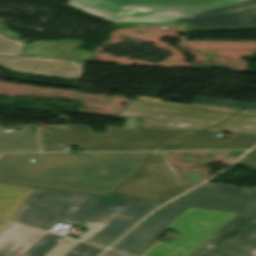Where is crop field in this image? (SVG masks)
I'll list each match as a JSON object with an SVG mask.
<instances>
[{
    "label": "crop field",
    "mask_w": 256,
    "mask_h": 256,
    "mask_svg": "<svg viewBox=\"0 0 256 256\" xmlns=\"http://www.w3.org/2000/svg\"><path fill=\"white\" fill-rule=\"evenodd\" d=\"M37 146V131L0 134V147Z\"/></svg>",
    "instance_id": "21"
},
{
    "label": "crop field",
    "mask_w": 256,
    "mask_h": 256,
    "mask_svg": "<svg viewBox=\"0 0 256 256\" xmlns=\"http://www.w3.org/2000/svg\"><path fill=\"white\" fill-rule=\"evenodd\" d=\"M250 191L204 183L169 204L256 214V196Z\"/></svg>",
    "instance_id": "7"
},
{
    "label": "crop field",
    "mask_w": 256,
    "mask_h": 256,
    "mask_svg": "<svg viewBox=\"0 0 256 256\" xmlns=\"http://www.w3.org/2000/svg\"><path fill=\"white\" fill-rule=\"evenodd\" d=\"M85 62L1 56L0 66L18 73L80 79Z\"/></svg>",
    "instance_id": "10"
},
{
    "label": "crop field",
    "mask_w": 256,
    "mask_h": 256,
    "mask_svg": "<svg viewBox=\"0 0 256 256\" xmlns=\"http://www.w3.org/2000/svg\"><path fill=\"white\" fill-rule=\"evenodd\" d=\"M41 146L107 144L106 133L94 134L89 126L55 125L40 130Z\"/></svg>",
    "instance_id": "14"
},
{
    "label": "crop field",
    "mask_w": 256,
    "mask_h": 256,
    "mask_svg": "<svg viewBox=\"0 0 256 256\" xmlns=\"http://www.w3.org/2000/svg\"><path fill=\"white\" fill-rule=\"evenodd\" d=\"M188 256H256V248L207 239Z\"/></svg>",
    "instance_id": "18"
},
{
    "label": "crop field",
    "mask_w": 256,
    "mask_h": 256,
    "mask_svg": "<svg viewBox=\"0 0 256 256\" xmlns=\"http://www.w3.org/2000/svg\"><path fill=\"white\" fill-rule=\"evenodd\" d=\"M186 209V207L163 206L130 231L112 248L134 254Z\"/></svg>",
    "instance_id": "11"
},
{
    "label": "crop field",
    "mask_w": 256,
    "mask_h": 256,
    "mask_svg": "<svg viewBox=\"0 0 256 256\" xmlns=\"http://www.w3.org/2000/svg\"><path fill=\"white\" fill-rule=\"evenodd\" d=\"M233 114L130 100L114 117L141 119L140 128L200 131Z\"/></svg>",
    "instance_id": "5"
},
{
    "label": "crop field",
    "mask_w": 256,
    "mask_h": 256,
    "mask_svg": "<svg viewBox=\"0 0 256 256\" xmlns=\"http://www.w3.org/2000/svg\"><path fill=\"white\" fill-rule=\"evenodd\" d=\"M148 154L39 153L36 163H28L26 158L34 157L36 153H2L0 171L118 185L139 170Z\"/></svg>",
    "instance_id": "2"
},
{
    "label": "crop field",
    "mask_w": 256,
    "mask_h": 256,
    "mask_svg": "<svg viewBox=\"0 0 256 256\" xmlns=\"http://www.w3.org/2000/svg\"><path fill=\"white\" fill-rule=\"evenodd\" d=\"M166 153L152 152L144 167L121 185L177 193L189 189L181 184L179 174L171 166Z\"/></svg>",
    "instance_id": "9"
},
{
    "label": "crop field",
    "mask_w": 256,
    "mask_h": 256,
    "mask_svg": "<svg viewBox=\"0 0 256 256\" xmlns=\"http://www.w3.org/2000/svg\"><path fill=\"white\" fill-rule=\"evenodd\" d=\"M247 108L248 109H256V102L251 104V105H249Z\"/></svg>",
    "instance_id": "29"
},
{
    "label": "crop field",
    "mask_w": 256,
    "mask_h": 256,
    "mask_svg": "<svg viewBox=\"0 0 256 256\" xmlns=\"http://www.w3.org/2000/svg\"><path fill=\"white\" fill-rule=\"evenodd\" d=\"M205 131L256 134V116L236 114L222 124Z\"/></svg>",
    "instance_id": "20"
},
{
    "label": "crop field",
    "mask_w": 256,
    "mask_h": 256,
    "mask_svg": "<svg viewBox=\"0 0 256 256\" xmlns=\"http://www.w3.org/2000/svg\"><path fill=\"white\" fill-rule=\"evenodd\" d=\"M78 240L10 222L0 230V256H61ZM105 248L79 242L65 256H97Z\"/></svg>",
    "instance_id": "4"
},
{
    "label": "crop field",
    "mask_w": 256,
    "mask_h": 256,
    "mask_svg": "<svg viewBox=\"0 0 256 256\" xmlns=\"http://www.w3.org/2000/svg\"><path fill=\"white\" fill-rule=\"evenodd\" d=\"M34 188L0 184V221H8Z\"/></svg>",
    "instance_id": "17"
},
{
    "label": "crop field",
    "mask_w": 256,
    "mask_h": 256,
    "mask_svg": "<svg viewBox=\"0 0 256 256\" xmlns=\"http://www.w3.org/2000/svg\"><path fill=\"white\" fill-rule=\"evenodd\" d=\"M255 143L256 135L231 134L228 139H216L215 133L199 132L154 150L249 149Z\"/></svg>",
    "instance_id": "12"
},
{
    "label": "crop field",
    "mask_w": 256,
    "mask_h": 256,
    "mask_svg": "<svg viewBox=\"0 0 256 256\" xmlns=\"http://www.w3.org/2000/svg\"><path fill=\"white\" fill-rule=\"evenodd\" d=\"M134 200L78 194L35 188L11 220L40 228H50L58 221L84 227L88 241L126 210Z\"/></svg>",
    "instance_id": "3"
},
{
    "label": "crop field",
    "mask_w": 256,
    "mask_h": 256,
    "mask_svg": "<svg viewBox=\"0 0 256 256\" xmlns=\"http://www.w3.org/2000/svg\"><path fill=\"white\" fill-rule=\"evenodd\" d=\"M102 256H129L115 251H107Z\"/></svg>",
    "instance_id": "28"
},
{
    "label": "crop field",
    "mask_w": 256,
    "mask_h": 256,
    "mask_svg": "<svg viewBox=\"0 0 256 256\" xmlns=\"http://www.w3.org/2000/svg\"><path fill=\"white\" fill-rule=\"evenodd\" d=\"M159 206L158 203L151 202H134L124 213L104 228L89 242L108 246L117 240L122 234L130 229L142 216L150 212L155 207Z\"/></svg>",
    "instance_id": "15"
},
{
    "label": "crop field",
    "mask_w": 256,
    "mask_h": 256,
    "mask_svg": "<svg viewBox=\"0 0 256 256\" xmlns=\"http://www.w3.org/2000/svg\"><path fill=\"white\" fill-rule=\"evenodd\" d=\"M209 238L256 247V216L236 214Z\"/></svg>",
    "instance_id": "16"
},
{
    "label": "crop field",
    "mask_w": 256,
    "mask_h": 256,
    "mask_svg": "<svg viewBox=\"0 0 256 256\" xmlns=\"http://www.w3.org/2000/svg\"><path fill=\"white\" fill-rule=\"evenodd\" d=\"M114 26L190 30L256 28V0H70Z\"/></svg>",
    "instance_id": "1"
},
{
    "label": "crop field",
    "mask_w": 256,
    "mask_h": 256,
    "mask_svg": "<svg viewBox=\"0 0 256 256\" xmlns=\"http://www.w3.org/2000/svg\"><path fill=\"white\" fill-rule=\"evenodd\" d=\"M25 41L10 40L0 35V54L20 56Z\"/></svg>",
    "instance_id": "22"
},
{
    "label": "crop field",
    "mask_w": 256,
    "mask_h": 256,
    "mask_svg": "<svg viewBox=\"0 0 256 256\" xmlns=\"http://www.w3.org/2000/svg\"><path fill=\"white\" fill-rule=\"evenodd\" d=\"M238 164L256 168V148L243 157Z\"/></svg>",
    "instance_id": "24"
},
{
    "label": "crop field",
    "mask_w": 256,
    "mask_h": 256,
    "mask_svg": "<svg viewBox=\"0 0 256 256\" xmlns=\"http://www.w3.org/2000/svg\"><path fill=\"white\" fill-rule=\"evenodd\" d=\"M66 146L41 147V151H64Z\"/></svg>",
    "instance_id": "27"
},
{
    "label": "crop field",
    "mask_w": 256,
    "mask_h": 256,
    "mask_svg": "<svg viewBox=\"0 0 256 256\" xmlns=\"http://www.w3.org/2000/svg\"><path fill=\"white\" fill-rule=\"evenodd\" d=\"M109 195L115 196V197H121V198L134 199V200L163 203L166 200H168L178 194L119 186L117 189H115Z\"/></svg>",
    "instance_id": "19"
},
{
    "label": "crop field",
    "mask_w": 256,
    "mask_h": 256,
    "mask_svg": "<svg viewBox=\"0 0 256 256\" xmlns=\"http://www.w3.org/2000/svg\"><path fill=\"white\" fill-rule=\"evenodd\" d=\"M251 195H256V189H252Z\"/></svg>",
    "instance_id": "30"
},
{
    "label": "crop field",
    "mask_w": 256,
    "mask_h": 256,
    "mask_svg": "<svg viewBox=\"0 0 256 256\" xmlns=\"http://www.w3.org/2000/svg\"><path fill=\"white\" fill-rule=\"evenodd\" d=\"M0 182L25 186L106 195L113 185L0 172Z\"/></svg>",
    "instance_id": "13"
},
{
    "label": "crop field",
    "mask_w": 256,
    "mask_h": 256,
    "mask_svg": "<svg viewBox=\"0 0 256 256\" xmlns=\"http://www.w3.org/2000/svg\"><path fill=\"white\" fill-rule=\"evenodd\" d=\"M193 102L243 108L250 102L194 96Z\"/></svg>",
    "instance_id": "23"
},
{
    "label": "crop field",
    "mask_w": 256,
    "mask_h": 256,
    "mask_svg": "<svg viewBox=\"0 0 256 256\" xmlns=\"http://www.w3.org/2000/svg\"><path fill=\"white\" fill-rule=\"evenodd\" d=\"M191 131L107 127V145H82L89 151L151 150L161 143L191 134Z\"/></svg>",
    "instance_id": "8"
},
{
    "label": "crop field",
    "mask_w": 256,
    "mask_h": 256,
    "mask_svg": "<svg viewBox=\"0 0 256 256\" xmlns=\"http://www.w3.org/2000/svg\"><path fill=\"white\" fill-rule=\"evenodd\" d=\"M157 240L152 239L150 242H148L144 247H142L138 252L135 253V255L140 256L143 252H145L149 247H151Z\"/></svg>",
    "instance_id": "26"
},
{
    "label": "crop field",
    "mask_w": 256,
    "mask_h": 256,
    "mask_svg": "<svg viewBox=\"0 0 256 256\" xmlns=\"http://www.w3.org/2000/svg\"><path fill=\"white\" fill-rule=\"evenodd\" d=\"M3 152H25V151H37V147H24V148H0Z\"/></svg>",
    "instance_id": "25"
},
{
    "label": "crop field",
    "mask_w": 256,
    "mask_h": 256,
    "mask_svg": "<svg viewBox=\"0 0 256 256\" xmlns=\"http://www.w3.org/2000/svg\"><path fill=\"white\" fill-rule=\"evenodd\" d=\"M3 224H5V223H4V222H0V227H1Z\"/></svg>",
    "instance_id": "31"
},
{
    "label": "crop field",
    "mask_w": 256,
    "mask_h": 256,
    "mask_svg": "<svg viewBox=\"0 0 256 256\" xmlns=\"http://www.w3.org/2000/svg\"><path fill=\"white\" fill-rule=\"evenodd\" d=\"M234 215L188 208L167 226L184 233L170 244L159 242L142 256H187Z\"/></svg>",
    "instance_id": "6"
}]
</instances>
